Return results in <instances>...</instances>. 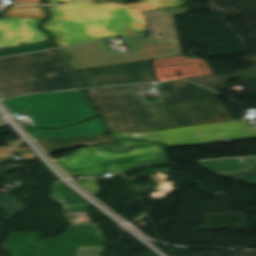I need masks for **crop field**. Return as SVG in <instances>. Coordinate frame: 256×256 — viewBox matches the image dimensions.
Returning a JSON list of instances; mask_svg holds the SVG:
<instances>
[{
	"label": "crop field",
	"mask_w": 256,
	"mask_h": 256,
	"mask_svg": "<svg viewBox=\"0 0 256 256\" xmlns=\"http://www.w3.org/2000/svg\"><path fill=\"white\" fill-rule=\"evenodd\" d=\"M185 6L184 0H141L137 4H98L89 0L48 7L52 16L43 27L54 35L57 47L143 32L142 11Z\"/></svg>",
	"instance_id": "obj_1"
},
{
	"label": "crop field",
	"mask_w": 256,
	"mask_h": 256,
	"mask_svg": "<svg viewBox=\"0 0 256 256\" xmlns=\"http://www.w3.org/2000/svg\"><path fill=\"white\" fill-rule=\"evenodd\" d=\"M68 58L55 50L1 58L0 97L83 88Z\"/></svg>",
	"instance_id": "obj_2"
},
{
	"label": "crop field",
	"mask_w": 256,
	"mask_h": 256,
	"mask_svg": "<svg viewBox=\"0 0 256 256\" xmlns=\"http://www.w3.org/2000/svg\"><path fill=\"white\" fill-rule=\"evenodd\" d=\"M72 177L119 174L149 162L170 163L166 147L147 142L123 140L118 144L76 150L55 160Z\"/></svg>",
	"instance_id": "obj_3"
},
{
	"label": "crop field",
	"mask_w": 256,
	"mask_h": 256,
	"mask_svg": "<svg viewBox=\"0 0 256 256\" xmlns=\"http://www.w3.org/2000/svg\"><path fill=\"white\" fill-rule=\"evenodd\" d=\"M152 83L86 90L112 133L164 129L159 103L148 102L142 91Z\"/></svg>",
	"instance_id": "obj_4"
},
{
	"label": "crop field",
	"mask_w": 256,
	"mask_h": 256,
	"mask_svg": "<svg viewBox=\"0 0 256 256\" xmlns=\"http://www.w3.org/2000/svg\"><path fill=\"white\" fill-rule=\"evenodd\" d=\"M162 38L145 39L144 34L123 38L133 51L111 53L104 41L60 49L73 55L76 70L154 60L181 54L176 30L159 32Z\"/></svg>",
	"instance_id": "obj_5"
},
{
	"label": "crop field",
	"mask_w": 256,
	"mask_h": 256,
	"mask_svg": "<svg viewBox=\"0 0 256 256\" xmlns=\"http://www.w3.org/2000/svg\"><path fill=\"white\" fill-rule=\"evenodd\" d=\"M1 102L10 112L27 110L35 116L36 127L59 128L97 116L82 90L26 95Z\"/></svg>",
	"instance_id": "obj_6"
},
{
	"label": "crop field",
	"mask_w": 256,
	"mask_h": 256,
	"mask_svg": "<svg viewBox=\"0 0 256 256\" xmlns=\"http://www.w3.org/2000/svg\"><path fill=\"white\" fill-rule=\"evenodd\" d=\"M116 138L146 139L172 147L256 138V126L248 127L244 120L219 122L169 130L113 134Z\"/></svg>",
	"instance_id": "obj_7"
},
{
	"label": "crop field",
	"mask_w": 256,
	"mask_h": 256,
	"mask_svg": "<svg viewBox=\"0 0 256 256\" xmlns=\"http://www.w3.org/2000/svg\"><path fill=\"white\" fill-rule=\"evenodd\" d=\"M165 129L232 120L216 98L160 105Z\"/></svg>",
	"instance_id": "obj_8"
},
{
	"label": "crop field",
	"mask_w": 256,
	"mask_h": 256,
	"mask_svg": "<svg viewBox=\"0 0 256 256\" xmlns=\"http://www.w3.org/2000/svg\"><path fill=\"white\" fill-rule=\"evenodd\" d=\"M77 224L57 239L41 242L40 256H74L76 245H104L103 236L97 224L88 220H76Z\"/></svg>",
	"instance_id": "obj_9"
},
{
	"label": "crop field",
	"mask_w": 256,
	"mask_h": 256,
	"mask_svg": "<svg viewBox=\"0 0 256 256\" xmlns=\"http://www.w3.org/2000/svg\"><path fill=\"white\" fill-rule=\"evenodd\" d=\"M88 87L153 80L149 61L80 72Z\"/></svg>",
	"instance_id": "obj_10"
},
{
	"label": "crop field",
	"mask_w": 256,
	"mask_h": 256,
	"mask_svg": "<svg viewBox=\"0 0 256 256\" xmlns=\"http://www.w3.org/2000/svg\"><path fill=\"white\" fill-rule=\"evenodd\" d=\"M45 19L0 18V48L48 40V35L38 28Z\"/></svg>",
	"instance_id": "obj_11"
},
{
	"label": "crop field",
	"mask_w": 256,
	"mask_h": 256,
	"mask_svg": "<svg viewBox=\"0 0 256 256\" xmlns=\"http://www.w3.org/2000/svg\"><path fill=\"white\" fill-rule=\"evenodd\" d=\"M198 163L202 168L216 175L256 184V158L202 161Z\"/></svg>",
	"instance_id": "obj_12"
},
{
	"label": "crop field",
	"mask_w": 256,
	"mask_h": 256,
	"mask_svg": "<svg viewBox=\"0 0 256 256\" xmlns=\"http://www.w3.org/2000/svg\"><path fill=\"white\" fill-rule=\"evenodd\" d=\"M157 89L160 92V104L218 97L222 95L186 81L160 83Z\"/></svg>",
	"instance_id": "obj_13"
},
{
	"label": "crop field",
	"mask_w": 256,
	"mask_h": 256,
	"mask_svg": "<svg viewBox=\"0 0 256 256\" xmlns=\"http://www.w3.org/2000/svg\"><path fill=\"white\" fill-rule=\"evenodd\" d=\"M106 130L100 118H96L91 120L90 122L72 126L62 130L28 129V133L31 134L36 139H46V138L108 134Z\"/></svg>",
	"instance_id": "obj_14"
},
{
	"label": "crop field",
	"mask_w": 256,
	"mask_h": 256,
	"mask_svg": "<svg viewBox=\"0 0 256 256\" xmlns=\"http://www.w3.org/2000/svg\"><path fill=\"white\" fill-rule=\"evenodd\" d=\"M3 248L12 256H37L39 250L37 232H11Z\"/></svg>",
	"instance_id": "obj_15"
},
{
	"label": "crop field",
	"mask_w": 256,
	"mask_h": 256,
	"mask_svg": "<svg viewBox=\"0 0 256 256\" xmlns=\"http://www.w3.org/2000/svg\"><path fill=\"white\" fill-rule=\"evenodd\" d=\"M51 197L64 204V215L68 217L86 215L85 210L89 204L84 202L61 182L52 185Z\"/></svg>",
	"instance_id": "obj_16"
},
{
	"label": "crop field",
	"mask_w": 256,
	"mask_h": 256,
	"mask_svg": "<svg viewBox=\"0 0 256 256\" xmlns=\"http://www.w3.org/2000/svg\"><path fill=\"white\" fill-rule=\"evenodd\" d=\"M41 141H43V142H41ZM110 142H115V141L109 135H106V136L96 135V136L38 140V143H40L45 150H46V148H48V150H46L48 153L54 152L57 150H62V149L79 146V145L88 146V145H93V144L110 143Z\"/></svg>",
	"instance_id": "obj_17"
},
{
	"label": "crop field",
	"mask_w": 256,
	"mask_h": 256,
	"mask_svg": "<svg viewBox=\"0 0 256 256\" xmlns=\"http://www.w3.org/2000/svg\"><path fill=\"white\" fill-rule=\"evenodd\" d=\"M146 19H149L146 31H157L175 27L173 15L189 13L188 8L158 10L143 12Z\"/></svg>",
	"instance_id": "obj_18"
},
{
	"label": "crop field",
	"mask_w": 256,
	"mask_h": 256,
	"mask_svg": "<svg viewBox=\"0 0 256 256\" xmlns=\"http://www.w3.org/2000/svg\"><path fill=\"white\" fill-rule=\"evenodd\" d=\"M8 147H0V165L4 162L10 160L14 155L12 153H20L21 159L20 160H13V161H27V160H35L37 157L34 153H27L22 154L19 147L22 146L21 142H12L7 143Z\"/></svg>",
	"instance_id": "obj_19"
},
{
	"label": "crop field",
	"mask_w": 256,
	"mask_h": 256,
	"mask_svg": "<svg viewBox=\"0 0 256 256\" xmlns=\"http://www.w3.org/2000/svg\"><path fill=\"white\" fill-rule=\"evenodd\" d=\"M3 16L46 18L45 11L43 7L40 6L11 8L8 9Z\"/></svg>",
	"instance_id": "obj_20"
},
{
	"label": "crop field",
	"mask_w": 256,
	"mask_h": 256,
	"mask_svg": "<svg viewBox=\"0 0 256 256\" xmlns=\"http://www.w3.org/2000/svg\"><path fill=\"white\" fill-rule=\"evenodd\" d=\"M50 48H52L50 41L16 46V47H10V48H5V49H0V57L14 55V54H20V53H26V52H32V51H38V50H44V49H50Z\"/></svg>",
	"instance_id": "obj_21"
},
{
	"label": "crop field",
	"mask_w": 256,
	"mask_h": 256,
	"mask_svg": "<svg viewBox=\"0 0 256 256\" xmlns=\"http://www.w3.org/2000/svg\"><path fill=\"white\" fill-rule=\"evenodd\" d=\"M0 201L17 213L24 211V208H23L24 204L21 203L13 195H10V196L0 195Z\"/></svg>",
	"instance_id": "obj_22"
},
{
	"label": "crop field",
	"mask_w": 256,
	"mask_h": 256,
	"mask_svg": "<svg viewBox=\"0 0 256 256\" xmlns=\"http://www.w3.org/2000/svg\"><path fill=\"white\" fill-rule=\"evenodd\" d=\"M103 246H83L78 247L76 256H101Z\"/></svg>",
	"instance_id": "obj_23"
},
{
	"label": "crop field",
	"mask_w": 256,
	"mask_h": 256,
	"mask_svg": "<svg viewBox=\"0 0 256 256\" xmlns=\"http://www.w3.org/2000/svg\"><path fill=\"white\" fill-rule=\"evenodd\" d=\"M79 184L82 185L86 190H88L93 195L99 192L96 180H89V181H85V182H80Z\"/></svg>",
	"instance_id": "obj_24"
},
{
	"label": "crop field",
	"mask_w": 256,
	"mask_h": 256,
	"mask_svg": "<svg viewBox=\"0 0 256 256\" xmlns=\"http://www.w3.org/2000/svg\"><path fill=\"white\" fill-rule=\"evenodd\" d=\"M26 168L25 165H16V166H3L0 167V174H5L6 172L12 171L13 169Z\"/></svg>",
	"instance_id": "obj_25"
},
{
	"label": "crop field",
	"mask_w": 256,
	"mask_h": 256,
	"mask_svg": "<svg viewBox=\"0 0 256 256\" xmlns=\"http://www.w3.org/2000/svg\"><path fill=\"white\" fill-rule=\"evenodd\" d=\"M0 207L7 213L6 214V217H5V220H9L11 219L12 217H14L15 213L11 212L10 210H8L5 206H3L1 203H0Z\"/></svg>",
	"instance_id": "obj_26"
},
{
	"label": "crop field",
	"mask_w": 256,
	"mask_h": 256,
	"mask_svg": "<svg viewBox=\"0 0 256 256\" xmlns=\"http://www.w3.org/2000/svg\"><path fill=\"white\" fill-rule=\"evenodd\" d=\"M42 0H16V2L14 3V5L17 4H25V3H34V4H39L41 3Z\"/></svg>",
	"instance_id": "obj_27"
},
{
	"label": "crop field",
	"mask_w": 256,
	"mask_h": 256,
	"mask_svg": "<svg viewBox=\"0 0 256 256\" xmlns=\"http://www.w3.org/2000/svg\"><path fill=\"white\" fill-rule=\"evenodd\" d=\"M71 1H76V0H47V3H66Z\"/></svg>",
	"instance_id": "obj_28"
},
{
	"label": "crop field",
	"mask_w": 256,
	"mask_h": 256,
	"mask_svg": "<svg viewBox=\"0 0 256 256\" xmlns=\"http://www.w3.org/2000/svg\"><path fill=\"white\" fill-rule=\"evenodd\" d=\"M2 123V121L0 120V124Z\"/></svg>",
	"instance_id": "obj_29"
}]
</instances>
